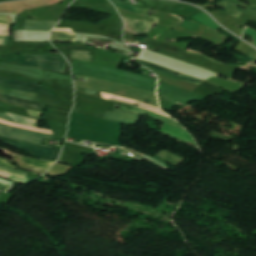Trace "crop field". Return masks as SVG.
I'll use <instances>...</instances> for the list:
<instances>
[{"label":"crop field","instance_id":"crop-field-1","mask_svg":"<svg viewBox=\"0 0 256 256\" xmlns=\"http://www.w3.org/2000/svg\"><path fill=\"white\" fill-rule=\"evenodd\" d=\"M7 63L45 68L63 72L66 60L65 58L59 57L31 56L22 54L20 59L13 58L7 61Z\"/></svg>","mask_w":256,"mask_h":256},{"label":"crop field","instance_id":"crop-field-2","mask_svg":"<svg viewBox=\"0 0 256 256\" xmlns=\"http://www.w3.org/2000/svg\"><path fill=\"white\" fill-rule=\"evenodd\" d=\"M0 135L41 145L43 138L53 140L55 136L21 130L0 124ZM44 146V145H43ZM49 147V146H47ZM55 148V147H51ZM60 149V148H57Z\"/></svg>","mask_w":256,"mask_h":256},{"label":"crop field","instance_id":"crop-field-3","mask_svg":"<svg viewBox=\"0 0 256 256\" xmlns=\"http://www.w3.org/2000/svg\"><path fill=\"white\" fill-rule=\"evenodd\" d=\"M0 138L4 143H6L12 147L30 151L32 157L56 161L59 156L60 150L31 145V144H27V143L15 141V140H9V139H5L1 136H0Z\"/></svg>","mask_w":256,"mask_h":256},{"label":"crop field","instance_id":"crop-field-4","mask_svg":"<svg viewBox=\"0 0 256 256\" xmlns=\"http://www.w3.org/2000/svg\"><path fill=\"white\" fill-rule=\"evenodd\" d=\"M0 119L10 121V122H14V123H18V124L35 126V127H37V125H38L37 120H33V119H29V118L9 114V113L2 114V115L0 114ZM2 120H0V123L6 124V125H11V126H15V127L23 128V129H28V130H32V131H37V132H42V133L53 134V132L49 131V130H43V129L28 127V126H22V125L10 123V122L2 121Z\"/></svg>","mask_w":256,"mask_h":256},{"label":"crop field","instance_id":"crop-field-5","mask_svg":"<svg viewBox=\"0 0 256 256\" xmlns=\"http://www.w3.org/2000/svg\"><path fill=\"white\" fill-rule=\"evenodd\" d=\"M0 84L7 86L9 88L20 89V90H25L29 92H35V93L46 94L51 96H53L54 94V92L48 90L47 88L41 85L31 84V83L14 80V79H8L1 76H0Z\"/></svg>","mask_w":256,"mask_h":256},{"label":"crop field","instance_id":"crop-field-6","mask_svg":"<svg viewBox=\"0 0 256 256\" xmlns=\"http://www.w3.org/2000/svg\"><path fill=\"white\" fill-rule=\"evenodd\" d=\"M103 118L136 125L140 115L115 109L113 113L107 111Z\"/></svg>","mask_w":256,"mask_h":256},{"label":"crop field","instance_id":"crop-field-7","mask_svg":"<svg viewBox=\"0 0 256 256\" xmlns=\"http://www.w3.org/2000/svg\"><path fill=\"white\" fill-rule=\"evenodd\" d=\"M124 20L126 22L125 30L136 33V34H139V31L148 33L152 26V23L145 22V21L126 19V18H124Z\"/></svg>","mask_w":256,"mask_h":256},{"label":"crop field","instance_id":"crop-field-8","mask_svg":"<svg viewBox=\"0 0 256 256\" xmlns=\"http://www.w3.org/2000/svg\"><path fill=\"white\" fill-rule=\"evenodd\" d=\"M0 101L18 105V106L28 107V108L39 110V111L42 110V107L44 105L41 103L30 102V101H26V100H22V99H17V98L1 95V94H0Z\"/></svg>","mask_w":256,"mask_h":256},{"label":"crop field","instance_id":"crop-field-9","mask_svg":"<svg viewBox=\"0 0 256 256\" xmlns=\"http://www.w3.org/2000/svg\"><path fill=\"white\" fill-rule=\"evenodd\" d=\"M57 22L26 20L24 30L50 31Z\"/></svg>","mask_w":256,"mask_h":256},{"label":"crop field","instance_id":"crop-field-10","mask_svg":"<svg viewBox=\"0 0 256 256\" xmlns=\"http://www.w3.org/2000/svg\"><path fill=\"white\" fill-rule=\"evenodd\" d=\"M161 131L166 132L168 134H171L173 136H176V137H178L180 139L188 141V142H190V143H192V144L197 146L196 142L189 135V133L187 131H185V130H182V129H179V128H176V127H173V126H170V125L164 123Z\"/></svg>","mask_w":256,"mask_h":256},{"label":"crop field","instance_id":"crop-field-11","mask_svg":"<svg viewBox=\"0 0 256 256\" xmlns=\"http://www.w3.org/2000/svg\"><path fill=\"white\" fill-rule=\"evenodd\" d=\"M121 110H125V111H129V112H132V113H136V114H140V115H145L146 113L152 115L153 118L155 119H158L162 122H165V123H168L170 125H173V126H176V127H179V128H182L184 129L178 122H176L175 120L173 119H170V118H167V117H164V116H161V115H158V114H155V113H152V112H149V111H146V110H142V109H139V108H135L133 107L132 110H129V109H126L125 107H121Z\"/></svg>","mask_w":256,"mask_h":256},{"label":"crop field","instance_id":"crop-field-12","mask_svg":"<svg viewBox=\"0 0 256 256\" xmlns=\"http://www.w3.org/2000/svg\"><path fill=\"white\" fill-rule=\"evenodd\" d=\"M155 158L162 160L168 164H171L175 167H177L179 164L183 162V158L168 151L164 150L163 152L159 153Z\"/></svg>","mask_w":256,"mask_h":256},{"label":"crop field","instance_id":"crop-field-13","mask_svg":"<svg viewBox=\"0 0 256 256\" xmlns=\"http://www.w3.org/2000/svg\"><path fill=\"white\" fill-rule=\"evenodd\" d=\"M101 95H102V98L104 99H117V100H123V101H128V102H132V103H136V101H133V100H129V99H125V98H121V97H117L115 95H111V94H106V93H102L100 92ZM140 102V101H139ZM138 102V103H139ZM140 106L139 108H142V109H146V110H149V111H152V112H155V113H158V114H161V115H164V116H167L166 114H164L163 112L160 111V109L158 107H155V106H152V105H148V104H143V103H139ZM169 117V116H167ZM171 118V117H170Z\"/></svg>","mask_w":256,"mask_h":256},{"label":"crop field","instance_id":"crop-field-14","mask_svg":"<svg viewBox=\"0 0 256 256\" xmlns=\"http://www.w3.org/2000/svg\"><path fill=\"white\" fill-rule=\"evenodd\" d=\"M0 93L5 94V95H9V96H13V97H17V98L30 100V101H32L33 96H36V94H34V93H29V92L19 91V90H13V89H9V88H6L4 86H1V85H0Z\"/></svg>","mask_w":256,"mask_h":256},{"label":"crop field","instance_id":"crop-field-15","mask_svg":"<svg viewBox=\"0 0 256 256\" xmlns=\"http://www.w3.org/2000/svg\"><path fill=\"white\" fill-rule=\"evenodd\" d=\"M75 38H76L75 34L59 33V32H52L51 33V41H56V42H74Z\"/></svg>","mask_w":256,"mask_h":256},{"label":"crop field","instance_id":"crop-field-16","mask_svg":"<svg viewBox=\"0 0 256 256\" xmlns=\"http://www.w3.org/2000/svg\"><path fill=\"white\" fill-rule=\"evenodd\" d=\"M110 1L115 6H117L118 8H122V9L128 10L130 12H134V13H138V14L144 15L146 13V11H147V9H145V8L136 7V6H132V5L121 3L123 0H118V1H121V2H117V1H113V0H110Z\"/></svg>","mask_w":256,"mask_h":256},{"label":"crop field","instance_id":"crop-field-17","mask_svg":"<svg viewBox=\"0 0 256 256\" xmlns=\"http://www.w3.org/2000/svg\"><path fill=\"white\" fill-rule=\"evenodd\" d=\"M138 61H139V60H138ZM139 62H141L142 64L147 65V66H149V67H152V68H154V69H157V70H159V71H162V72H164V73H167V74H169V75H172V76H174V77H177V78H180V79H183V80H186V81L195 83V84H197V85H199L200 83H202V81L195 80V79H192V78H189V77H185V76H181V75H180V76H177V75H174V72H171V71H168V70H165V69H162V68L153 66V65H151V64H148V63H145V62H142V61H139Z\"/></svg>","mask_w":256,"mask_h":256},{"label":"crop field","instance_id":"crop-field-18","mask_svg":"<svg viewBox=\"0 0 256 256\" xmlns=\"http://www.w3.org/2000/svg\"><path fill=\"white\" fill-rule=\"evenodd\" d=\"M220 6L226 8L229 12V15L235 18H237L242 12H244V10L236 7L234 4L230 2L223 1Z\"/></svg>","mask_w":256,"mask_h":256},{"label":"crop field","instance_id":"crop-field-19","mask_svg":"<svg viewBox=\"0 0 256 256\" xmlns=\"http://www.w3.org/2000/svg\"><path fill=\"white\" fill-rule=\"evenodd\" d=\"M90 52L86 51H72L71 57L72 59H77V60H84V61H90L92 60V57L89 56Z\"/></svg>","mask_w":256,"mask_h":256},{"label":"crop field","instance_id":"crop-field-20","mask_svg":"<svg viewBox=\"0 0 256 256\" xmlns=\"http://www.w3.org/2000/svg\"><path fill=\"white\" fill-rule=\"evenodd\" d=\"M22 159L30 165L41 167V168H46V169H49V167L53 164L51 162H45V161L29 159V158H24V157Z\"/></svg>","mask_w":256,"mask_h":256},{"label":"crop field","instance_id":"crop-field-21","mask_svg":"<svg viewBox=\"0 0 256 256\" xmlns=\"http://www.w3.org/2000/svg\"><path fill=\"white\" fill-rule=\"evenodd\" d=\"M0 170L8 172V173H12L18 176H22V177H27V172H23L20 170H16V169H12V168H8V167H4V166H0Z\"/></svg>","mask_w":256,"mask_h":256},{"label":"crop field","instance_id":"crop-field-22","mask_svg":"<svg viewBox=\"0 0 256 256\" xmlns=\"http://www.w3.org/2000/svg\"><path fill=\"white\" fill-rule=\"evenodd\" d=\"M10 176H13V175H10V174H7V173H4V172L0 171V177L7 178V177H10ZM7 179H10V180H13V181H17V182H20V183H23V184H25V183L30 181V180H26V179H23V178H20V177H16V176H13V177H10V178H7Z\"/></svg>","mask_w":256,"mask_h":256},{"label":"crop field","instance_id":"crop-field-23","mask_svg":"<svg viewBox=\"0 0 256 256\" xmlns=\"http://www.w3.org/2000/svg\"><path fill=\"white\" fill-rule=\"evenodd\" d=\"M0 35L9 36V24H0Z\"/></svg>","mask_w":256,"mask_h":256},{"label":"crop field","instance_id":"crop-field-24","mask_svg":"<svg viewBox=\"0 0 256 256\" xmlns=\"http://www.w3.org/2000/svg\"><path fill=\"white\" fill-rule=\"evenodd\" d=\"M244 34H248V35L254 36V43H255V45H256V31H255V30H252V29L247 28V29L245 30Z\"/></svg>","mask_w":256,"mask_h":256},{"label":"crop field","instance_id":"crop-field-25","mask_svg":"<svg viewBox=\"0 0 256 256\" xmlns=\"http://www.w3.org/2000/svg\"><path fill=\"white\" fill-rule=\"evenodd\" d=\"M9 37L0 36V45H6Z\"/></svg>","mask_w":256,"mask_h":256},{"label":"crop field","instance_id":"crop-field-26","mask_svg":"<svg viewBox=\"0 0 256 256\" xmlns=\"http://www.w3.org/2000/svg\"><path fill=\"white\" fill-rule=\"evenodd\" d=\"M53 31H59V32H73L72 29H63V28H55Z\"/></svg>","mask_w":256,"mask_h":256},{"label":"crop field","instance_id":"crop-field-27","mask_svg":"<svg viewBox=\"0 0 256 256\" xmlns=\"http://www.w3.org/2000/svg\"><path fill=\"white\" fill-rule=\"evenodd\" d=\"M0 23H10L7 16L0 15Z\"/></svg>","mask_w":256,"mask_h":256},{"label":"crop field","instance_id":"crop-field-28","mask_svg":"<svg viewBox=\"0 0 256 256\" xmlns=\"http://www.w3.org/2000/svg\"><path fill=\"white\" fill-rule=\"evenodd\" d=\"M144 20L157 23V18H153V17H146L145 16Z\"/></svg>","mask_w":256,"mask_h":256},{"label":"crop field","instance_id":"crop-field-29","mask_svg":"<svg viewBox=\"0 0 256 256\" xmlns=\"http://www.w3.org/2000/svg\"><path fill=\"white\" fill-rule=\"evenodd\" d=\"M0 164H1V165H5V166H9V167L15 168L14 166H12L11 164L5 162V161H4L3 159H1V158H0Z\"/></svg>","mask_w":256,"mask_h":256},{"label":"crop field","instance_id":"crop-field-30","mask_svg":"<svg viewBox=\"0 0 256 256\" xmlns=\"http://www.w3.org/2000/svg\"><path fill=\"white\" fill-rule=\"evenodd\" d=\"M229 1H231V2H233V3H235V4H237V5H239V6H241V7H245V8H246V6H245L244 4H242V3H240L239 0H229Z\"/></svg>","mask_w":256,"mask_h":256},{"label":"crop field","instance_id":"crop-field-31","mask_svg":"<svg viewBox=\"0 0 256 256\" xmlns=\"http://www.w3.org/2000/svg\"><path fill=\"white\" fill-rule=\"evenodd\" d=\"M144 156H146V157H148V158H150V159H152V160H154V161H157V162H159V163H161V164H163V165L169 167V165H167V164H165V163H163V162H161V161H159V160H157V159H154V158H152V157H149V156H147V155H145V154H144Z\"/></svg>","mask_w":256,"mask_h":256},{"label":"crop field","instance_id":"crop-field-32","mask_svg":"<svg viewBox=\"0 0 256 256\" xmlns=\"http://www.w3.org/2000/svg\"><path fill=\"white\" fill-rule=\"evenodd\" d=\"M31 115L40 116L41 113L28 110Z\"/></svg>","mask_w":256,"mask_h":256},{"label":"crop field","instance_id":"crop-field-33","mask_svg":"<svg viewBox=\"0 0 256 256\" xmlns=\"http://www.w3.org/2000/svg\"><path fill=\"white\" fill-rule=\"evenodd\" d=\"M84 91H85V93H89V94H93V95H95V94H96V92H95V91H90V90H86V89H84Z\"/></svg>","mask_w":256,"mask_h":256},{"label":"crop field","instance_id":"crop-field-34","mask_svg":"<svg viewBox=\"0 0 256 256\" xmlns=\"http://www.w3.org/2000/svg\"><path fill=\"white\" fill-rule=\"evenodd\" d=\"M250 9L256 10V4H252L251 6H249Z\"/></svg>","mask_w":256,"mask_h":256},{"label":"crop field","instance_id":"crop-field-35","mask_svg":"<svg viewBox=\"0 0 256 256\" xmlns=\"http://www.w3.org/2000/svg\"><path fill=\"white\" fill-rule=\"evenodd\" d=\"M247 13H250V14L256 15V12L249 11V10H247Z\"/></svg>","mask_w":256,"mask_h":256}]
</instances>
